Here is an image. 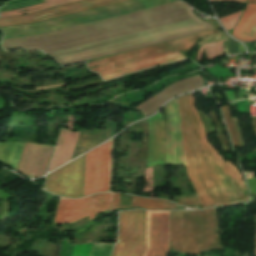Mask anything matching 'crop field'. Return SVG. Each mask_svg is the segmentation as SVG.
<instances>
[{"mask_svg": "<svg viewBox=\"0 0 256 256\" xmlns=\"http://www.w3.org/2000/svg\"><path fill=\"white\" fill-rule=\"evenodd\" d=\"M233 119H234L235 124H236V127H237V131H238V134H239V137H240L241 145H242V147H245L244 139H243V137H242V135H241V131H240L238 119H237V117H235V118H233Z\"/></svg>", "mask_w": 256, "mask_h": 256, "instance_id": "crop-field-28", "label": "crop field"}, {"mask_svg": "<svg viewBox=\"0 0 256 256\" xmlns=\"http://www.w3.org/2000/svg\"><path fill=\"white\" fill-rule=\"evenodd\" d=\"M248 2L256 3V0H248Z\"/></svg>", "mask_w": 256, "mask_h": 256, "instance_id": "crop-field-30", "label": "crop field"}, {"mask_svg": "<svg viewBox=\"0 0 256 256\" xmlns=\"http://www.w3.org/2000/svg\"><path fill=\"white\" fill-rule=\"evenodd\" d=\"M238 53V42L230 39V54Z\"/></svg>", "mask_w": 256, "mask_h": 256, "instance_id": "crop-field-27", "label": "crop field"}, {"mask_svg": "<svg viewBox=\"0 0 256 256\" xmlns=\"http://www.w3.org/2000/svg\"><path fill=\"white\" fill-rule=\"evenodd\" d=\"M133 206L144 209H176V205L171 202H164L159 200L141 199L133 196ZM130 206H120L119 194L114 193L110 211L118 208Z\"/></svg>", "mask_w": 256, "mask_h": 256, "instance_id": "crop-field-18", "label": "crop field"}, {"mask_svg": "<svg viewBox=\"0 0 256 256\" xmlns=\"http://www.w3.org/2000/svg\"><path fill=\"white\" fill-rule=\"evenodd\" d=\"M114 244H95L91 256H110Z\"/></svg>", "mask_w": 256, "mask_h": 256, "instance_id": "crop-field-22", "label": "crop field"}, {"mask_svg": "<svg viewBox=\"0 0 256 256\" xmlns=\"http://www.w3.org/2000/svg\"><path fill=\"white\" fill-rule=\"evenodd\" d=\"M107 1H112V0H88V1H84V2H79V3L67 5V6H62V7H58V8H54V9H49V10L33 13V14L23 15L20 17L4 18V19H0V27L32 23V22L45 20V19H49V18H54V17H58V16H62V15H67V14H71V13H75V12H80V11H84V10H88V9L102 7V6H106V5H110V4H115V3H119V2H123V1H127V0H118V1L108 2V3L102 4V5H97V4L107 2ZM92 5H97V6H92ZM88 6H92V7H88ZM84 7H88V8H84ZM78 8H84V9H79V10H74L72 12L62 13L67 10L78 9ZM58 13H62V14H58ZM54 14H58V15H54ZM46 15H54V16H49L46 18L29 21L32 19L41 18Z\"/></svg>", "mask_w": 256, "mask_h": 256, "instance_id": "crop-field-11", "label": "crop field"}, {"mask_svg": "<svg viewBox=\"0 0 256 256\" xmlns=\"http://www.w3.org/2000/svg\"><path fill=\"white\" fill-rule=\"evenodd\" d=\"M24 143H1L0 160L13 168H16Z\"/></svg>", "mask_w": 256, "mask_h": 256, "instance_id": "crop-field-19", "label": "crop field"}, {"mask_svg": "<svg viewBox=\"0 0 256 256\" xmlns=\"http://www.w3.org/2000/svg\"><path fill=\"white\" fill-rule=\"evenodd\" d=\"M251 121H252L253 129H254V131L256 133V118L251 119Z\"/></svg>", "mask_w": 256, "mask_h": 256, "instance_id": "crop-field-29", "label": "crop field"}, {"mask_svg": "<svg viewBox=\"0 0 256 256\" xmlns=\"http://www.w3.org/2000/svg\"><path fill=\"white\" fill-rule=\"evenodd\" d=\"M113 193L99 194L82 199L61 198L54 223L76 222L89 215V220L108 210Z\"/></svg>", "mask_w": 256, "mask_h": 256, "instance_id": "crop-field-7", "label": "crop field"}, {"mask_svg": "<svg viewBox=\"0 0 256 256\" xmlns=\"http://www.w3.org/2000/svg\"><path fill=\"white\" fill-rule=\"evenodd\" d=\"M232 35L242 41L256 40V5H247V9Z\"/></svg>", "mask_w": 256, "mask_h": 256, "instance_id": "crop-field-17", "label": "crop field"}, {"mask_svg": "<svg viewBox=\"0 0 256 256\" xmlns=\"http://www.w3.org/2000/svg\"><path fill=\"white\" fill-rule=\"evenodd\" d=\"M238 1H243V2H245V0H238Z\"/></svg>", "mask_w": 256, "mask_h": 256, "instance_id": "crop-field-31", "label": "crop field"}, {"mask_svg": "<svg viewBox=\"0 0 256 256\" xmlns=\"http://www.w3.org/2000/svg\"><path fill=\"white\" fill-rule=\"evenodd\" d=\"M176 200L184 206L200 205L196 195L176 197Z\"/></svg>", "mask_w": 256, "mask_h": 256, "instance_id": "crop-field-25", "label": "crop field"}, {"mask_svg": "<svg viewBox=\"0 0 256 256\" xmlns=\"http://www.w3.org/2000/svg\"><path fill=\"white\" fill-rule=\"evenodd\" d=\"M166 107L168 123L164 145L165 164L184 166L179 98Z\"/></svg>", "mask_w": 256, "mask_h": 256, "instance_id": "crop-field-9", "label": "crop field"}, {"mask_svg": "<svg viewBox=\"0 0 256 256\" xmlns=\"http://www.w3.org/2000/svg\"><path fill=\"white\" fill-rule=\"evenodd\" d=\"M93 244L75 245L71 256H89Z\"/></svg>", "mask_w": 256, "mask_h": 256, "instance_id": "crop-field-24", "label": "crop field"}, {"mask_svg": "<svg viewBox=\"0 0 256 256\" xmlns=\"http://www.w3.org/2000/svg\"><path fill=\"white\" fill-rule=\"evenodd\" d=\"M44 1H45V3H43V4H39V5L23 8V9L1 12V17L0 18L23 15L25 13H32V12L44 10V9H47V8H51V7H54L56 5H63V4L72 3V2L81 1V0H44ZM40 6H42V8L18 13L19 11L24 10V9H33V8H38Z\"/></svg>", "mask_w": 256, "mask_h": 256, "instance_id": "crop-field-20", "label": "crop field"}, {"mask_svg": "<svg viewBox=\"0 0 256 256\" xmlns=\"http://www.w3.org/2000/svg\"><path fill=\"white\" fill-rule=\"evenodd\" d=\"M173 1L177 0H135L115 6L84 12L33 25L4 27L1 29L5 34L4 39L31 36L104 18L122 15Z\"/></svg>", "mask_w": 256, "mask_h": 256, "instance_id": "crop-field-3", "label": "crop field"}, {"mask_svg": "<svg viewBox=\"0 0 256 256\" xmlns=\"http://www.w3.org/2000/svg\"><path fill=\"white\" fill-rule=\"evenodd\" d=\"M79 132L61 131L49 171L71 160Z\"/></svg>", "mask_w": 256, "mask_h": 256, "instance_id": "crop-field-14", "label": "crop field"}, {"mask_svg": "<svg viewBox=\"0 0 256 256\" xmlns=\"http://www.w3.org/2000/svg\"><path fill=\"white\" fill-rule=\"evenodd\" d=\"M84 156L46 176V190L59 196L81 197Z\"/></svg>", "mask_w": 256, "mask_h": 256, "instance_id": "crop-field-8", "label": "crop field"}, {"mask_svg": "<svg viewBox=\"0 0 256 256\" xmlns=\"http://www.w3.org/2000/svg\"><path fill=\"white\" fill-rule=\"evenodd\" d=\"M180 58H184V56L180 52H178V53H174V54L154 58V59H151V60H147V61L127 65V66H124V67H120V68L100 72L99 74L101 75V77L103 79L107 80V79H110V78H113V77H116V76H119V75H122V74H125V73H128V72L136 71V70H139V69H143V68H147V67H150V66L162 64V63L173 61V60L180 59Z\"/></svg>", "mask_w": 256, "mask_h": 256, "instance_id": "crop-field-16", "label": "crop field"}, {"mask_svg": "<svg viewBox=\"0 0 256 256\" xmlns=\"http://www.w3.org/2000/svg\"><path fill=\"white\" fill-rule=\"evenodd\" d=\"M255 218H256V215H255ZM254 256H256V252H255V255Z\"/></svg>", "mask_w": 256, "mask_h": 256, "instance_id": "crop-field-32", "label": "crop field"}, {"mask_svg": "<svg viewBox=\"0 0 256 256\" xmlns=\"http://www.w3.org/2000/svg\"><path fill=\"white\" fill-rule=\"evenodd\" d=\"M242 11L235 13V14H231L225 17L220 18V21L222 22V24L224 25V27L229 30L231 28L234 27L235 23L237 22L239 16L241 15Z\"/></svg>", "mask_w": 256, "mask_h": 256, "instance_id": "crop-field-23", "label": "crop field"}, {"mask_svg": "<svg viewBox=\"0 0 256 256\" xmlns=\"http://www.w3.org/2000/svg\"><path fill=\"white\" fill-rule=\"evenodd\" d=\"M144 249V212H119V244L112 256H141Z\"/></svg>", "mask_w": 256, "mask_h": 256, "instance_id": "crop-field-5", "label": "crop field"}, {"mask_svg": "<svg viewBox=\"0 0 256 256\" xmlns=\"http://www.w3.org/2000/svg\"><path fill=\"white\" fill-rule=\"evenodd\" d=\"M216 32H219V31L212 30V31L200 33L197 35L185 37V38L174 40L171 42L159 44L156 46L129 52L126 54L115 56V57L88 63L87 65L88 67H93L98 65L99 67L91 69L92 71H96V72L116 68L119 66L139 62L142 60L158 57L161 55L177 52V51L188 49V48H192L197 39L216 33Z\"/></svg>", "mask_w": 256, "mask_h": 256, "instance_id": "crop-field-4", "label": "crop field"}, {"mask_svg": "<svg viewBox=\"0 0 256 256\" xmlns=\"http://www.w3.org/2000/svg\"><path fill=\"white\" fill-rule=\"evenodd\" d=\"M53 147L26 143L18 166V171L34 178L43 175Z\"/></svg>", "mask_w": 256, "mask_h": 256, "instance_id": "crop-field-12", "label": "crop field"}, {"mask_svg": "<svg viewBox=\"0 0 256 256\" xmlns=\"http://www.w3.org/2000/svg\"><path fill=\"white\" fill-rule=\"evenodd\" d=\"M216 229L214 208L171 211L170 238L175 251L201 256L200 250L222 249Z\"/></svg>", "mask_w": 256, "mask_h": 256, "instance_id": "crop-field-2", "label": "crop field"}, {"mask_svg": "<svg viewBox=\"0 0 256 256\" xmlns=\"http://www.w3.org/2000/svg\"><path fill=\"white\" fill-rule=\"evenodd\" d=\"M116 124L117 123H108L106 131L91 132L87 130H81L73 158L95 147L96 145L102 143L114 135Z\"/></svg>", "mask_w": 256, "mask_h": 256, "instance_id": "crop-field-15", "label": "crop field"}, {"mask_svg": "<svg viewBox=\"0 0 256 256\" xmlns=\"http://www.w3.org/2000/svg\"><path fill=\"white\" fill-rule=\"evenodd\" d=\"M237 107L239 112L249 113L247 100L237 101Z\"/></svg>", "mask_w": 256, "mask_h": 256, "instance_id": "crop-field-26", "label": "crop field"}, {"mask_svg": "<svg viewBox=\"0 0 256 256\" xmlns=\"http://www.w3.org/2000/svg\"><path fill=\"white\" fill-rule=\"evenodd\" d=\"M220 107H221L222 113H223V115L225 117L227 126L229 128V131H230V134H231L234 146L237 147V148H240L241 145H240L239 137L237 135L236 127H235V124L233 122V119H232V116L230 114V111L228 109V106L227 105H223V106H220Z\"/></svg>", "mask_w": 256, "mask_h": 256, "instance_id": "crop-field-21", "label": "crop field"}, {"mask_svg": "<svg viewBox=\"0 0 256 256\" xmlns=\"http://www.w3.org/2000/svg\"><path fill=\"white\" fill-rule=\"evenodd\" d=\"M148 154L146 167L162 164V135L163 126L159 112L148 119Z\"/></svg>", "mask_w": 256, "mask_h": 256, "instance_id": "crop-field-13", "label": "crop field"}, {"mask_svg": "<svg viewBox=\"0 0 256 256\" xmlns=\"http://www.w3.org/2000/svg\"><path fill=\"white\" fill-rule=\"evenodd\" d=\"M112 140L86 153L83 196L109 191Z\"/></svg>", "mask_w": 256, "mask_h": 256, "instance_id": "crop-field-6", "label": "crop field"}, {"mask_svg": "<svg viewBox=\"0 0 256 256\" xmlns=\"http://www.w3.org/2000/svg\"><path fill=\"white\" fill-rule=\"evenodd\" d=\"M185 168L202 207L247 200L239 171L221 157L205 137L194 107V95L180 98Z\"/></svg>", "mask_w": 256, "mask_h": 256, "instance_id": "crop-field-1", "label": "crop field"}, {"mask_svg": "<svg viewBox=\"0 0 256 256\" xmlns=\"http://www.w3.org/2000/svg\"><path fill=\"white\" fill-rule=\"evenodd\" d=\"M169 211L146 212V250L143 256H166Z\"/></svg>", "mask_w": 256, "mask_h": 256, "instance_id": "crop-field-10", "label": "crop field"}]
</instances>
